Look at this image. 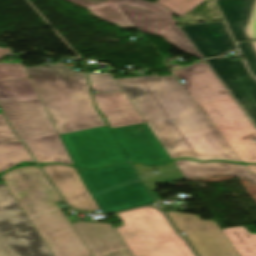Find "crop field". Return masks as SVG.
<instances>
[{
  "label": "crop field",
  "instance_id": "7",
  "mask_svg": "<svg viewBox=\"0 0 256 256\" xmlns=\"http://www.w3.org/2000/svg\"><path fill=\"white\" fill-rule=\"evenodd\" d=\"M117 215L123 226L114 229L132 256H195L160 209L144 207Z\"/></svg>",
  "mask_w": 256,
  "mask_h": 256
},
{
  "label": "crop field",
  "instance_id": "9",
  "mask_svg": "<svg viewBox=\"0 0 256 256\" xmlns=\"http://www.w3.org/2000/svg\"><path fill=\"white\" fill-rule=\"evenodd\" d=\"M0 235L15 256H53L4 183L0 184Z\"/></svg>",
  "mask_w": 256,
  "mask_h": 256
},
{
  "label": "crop field",
  "instance_id": "27",
  "mask_svg": "<svg viewBox=\"0 0 256 256\" xmlns=\"http://www.w3.org/2000/svg\"><path fill=\"white\" fill-rule=\"evenodd\" d=\"M253 74L256 76V50L252 42L238 43Z\"/></svg>",
  "mask_w": 256,
  "mask_h": 256
},
{
  "label": "crop field",
  "instance_id": "29",
  "mask_svg": "<svg viewBox=\"0 0 256 256\" xmlns=\"http://www.w3.org/2000/svg\"><path fill=\"white\" fill-rule=\"evenodd\" d=\"M247 33L250 37L251 40H255L256 39V4L253 10V14L249 23V27L247 30ZM255 48H256V42H253Z\"/></svg>",
  "mask_w": 256,
  "mask_h": 256
},
{
  "label": "crop field",
  "instance_id": "23",
  "mask_svg": "<svg viewBox=\"0 0 256 256\" xmlns=\"http://www.w3.org/2000/svg\"><path fill=\"white\" fill-rule=\"evenodd\" d=\"M93 90L97 93L121 91L111 73H88Z\"/></svg>",
  "mask_w": 256,
  "mask_h": 256
},
{
  "label": "crop field",
  "instance_id": "4",
  "mask_svg": "<svg viewBox=\"0 0 256 256\" xmlns=\"http://www.w3.org/2000/svg\"><path fill=\"white\" fill-rule=\"evenodd\" d=\"M243 163H256V128L207 65L174 72Z\"/></svg>",
  "mask_w": 256,
  "mask_h": 256
},
{
  "label": "crop field",
  "instance_id": "10",
  "mask_svg": "<svg viewBox=\"0 0 256 256\" xmlns=\"http://www.w3.org/2000/svg\"><path fill=\"white\" fill-rule=\"evenodd\" d=\"M167 214L180 232H186L185 237L200 256H239L215 221L178 212Z\"/></svg>",
  "mask_w": 256,
  "mask_h": 256
},
{
  "label": "crop field",
  "instance_id": "8",
  "mask_svg": "<svg viewBox=\"0 0 256 256\" xmlns=\"http://www.w3.org/2000/svg\"><path fill=\"white\" fill-rule=\"evenodd\" d=\"M79 173L104 213L154 203L130 163Z\"/></svg>",
  "mask_w": 256,
  "mask_h": 256
},
{
  "label": "crop field",
  "instance_id": "21",
  "mask_svg": "<svg viewBox=\"0 0 256 256\" xmlns=\"http://www.w3.org/2000/svg\"><path fill=\"white\" fill-rule=\"evenodd\" d=\"M222 232L240 256H256V234H252L243 226L223 229Z\"/></svg>",
  "mask_w": 256,
  "mask_h": 256
},
{
  "label": "crop field",
  "instance_id": "18",
  "mask_svg": "<svg viewBox=\"0 0 256 256\" xmlns=\"http://www.w3.org/2000/svg\"><path fill=\"white\" fill-rule=\"evenodd\" d=\"M236 42L250 40L246 30L255 0H216Z\"/></svg>",
  "mask_w": 256,
  "mask_h": 256
},
{
  "label": "crop field",
  "instance_id": "12",
  "mask_svg": "<svg viewBox=\"0 0 256 256\" xmlns=\"http://www.w3.org/2000/svg\"><path fill=\"white\" fill-rule=\"evenodd\" d=\"M41 167L70 206L88 211L100 209L76 168L65 165Z\"/></svg>",
  "mask_w": 256,
  "mask_h": 256
},
{
  "label": "crop field",
  "instance_id": "32",
  "mask_svg": "<svg viewBox=\"0 0 256 256\" xmlns=\"http://www.w3.org/2000/svg\"><path fill=\"white\" fill-rule=\"evenodd\" d=\"M6 53H11L10 49L7 48V49H1L0 48V58L5 55Z\"/></svg>",
  "mask_w": 256,
  "mask_h": 256
},
{
  "label": "crop field",
  "instance_id": "30",
  "mask_svg": "<svg viewBox=\"0 0 256 256\" xmlns=\"http://www.w3.org/2000/svg\"><path fill=\"white\" fill-rule=\"evenodd\" d=\"M0 256H13L1 238H0Z\"/></svg>",
  "mask_w": 256,
  "mask_h": 256
},
{
  "label": "crop field",
  "instance_id": "16",
  "mask_svg": "<svg viewBox=\"0 0 256 256\" xmlns=\"http://www.w3.org/2000/svg\"><path fill=\"white\" fill-rule=\"evenodd\" d=\"M98 110L112 128L145 123L124 91L93 94Z\"/></svg>",
  "mask_w": 256,
  "mask_h": 256
},
{
  "label": "crop field",
  "instance_id": "28",
  "mask_svg": "<svg viewBox=\"0 0 256 256\" xmlns=\"http://www.w3.org/2000/svg\"><path fill=\"white\" fill-rule=\"evenodd\" d=\"M18 141V139L12 133L10 127L4 120L2 114H0V143Z\"/></svg>",
  "mask_w": 256,
  "mask_h": 256
},
{
  "label": "crop field",
  "instance_id": "19",
  "mask_svg": "<svg viewBox=\"0 0 256 256\" xmlns=\"http://www.w3.org/2000/svg\"><path fill=\"white\" fill-rule=\"evenodd\" d=\"M89 8L90 12L100 18L119 24L124 28L134 27L115 0H69Z\"/></svg>",
  "mask_w": 256,
  "mask_h": 256
},
{
  "label": "crop field",
  "instance_id": "3",
  "mask_svg": "<svg viewBox=\"0 0 256 256\" xmlns=\"http://www.w3.org/2000/svg\"><path fill=\"white\" fill-rule=\"evenodd\" d=\"M60 137L74 165L83 169L127 161L153 165L171 160L146 124L116 129L104 126Z\"/></svg>",
  "mask_w": 256,
  "mask_h": 256
},
{
  "label": "crop field",
  "instance_id": "26",
  "mask_svg": "<svg viewBox=\"0 0 256 256\" xmlns=\"http://www.w3.org/2000/svg\"><path fill=\"white\" fill-rule=\"evenodd\" d=\"M28 77L22 64H0V81Z\"/></svg>",
  "mask_w": 256,
  "mask_h": 256
},
{
  "label": "crop field",
  "instance_id": "25",
  "mask_svg": "<svg viewBox=\"0 0 256 256\" xmlns=\"http://www.w3.org/2000/svg\"><path fill=\"white\" fill-rule=\"evenodd\" d=\"M116 1L119 4H123L129 7H133L136 9H140V10H144V11H148L156 14H161L169 17H172L174 15L162 6L154 5L142 0H116Z\"/></svg>",
  "mask_w": 256,
  "mask_h": 256
},
{
  "label": "crop field",
  "instance_id": "11",
  "mask_svg": "<svg viewBox=\"0 0 256 256\" xmlns=\"http://www.w3.org/2000/svg\"><path fill=\"white\" fill-rule=\"evenodd\" d=\"M206 61L256 125V79L243 60L231 62L222 56Z\"/></svg>",
  "mask_w": 256,
  "mask_h": 256
},
{
  "label": "crop field",
  "instance_id": "20",
  "mask_svg": "<svg viewBox=\"0 0 256 256\" xmlns=\"http://www.w3.org/2000/svg\"><path fill=\"white\" fill-rule=\"evenodd\" d=\"M132 164L137 172L140 174L150 191L155 190V184L165 183V179L182 176L174 162L154 167H147L138 163ZM156 170H158L160 173H152Z\"/></svg>",
  "mask_w": 256,
  "mask_h": 256
},
{
  "label": "crop field",
  "instance_id": "24",
  "mask_svg": "<svg viewBox=\"0 0 256 256\" xmlns=\"http://www.w3.org/2000/svg\"><path fill=\"white\" fill-rule=\"evenodd\" d=\"M203 1L204 0H158L154 4L166 7L181 19Z\"/></svg>",
  "mask_w": 256,
  "mask_h": 256
},
{
  "label": "crop field",
  "instance_id": "1",
  "mask_svg": "<svg viewBox=\"0 0 256 256\" xmlns=\"http://www.w3.org/2000/svg\"><path fill=\"white\" fill-rule=\"evenodd\" d=\"M116 80L170 158L241 162L174 75Z\"/></svg>",
  "mask_w": 256,
  "mask_h": 256
},
{
  "label": "crop field",
  "instance_id": "5",
  "mask_svg": "<svg viewBox=\"0 0 256 256\" xmlns=\"http://www.w3.org/2000/svg\"><path fill=\"white\" fill-rule=\"evenodd\" d=\"M26 68L59 135L104 126L89 94L86 75L70 67Z\"/></svg>",
  "mask_w": 256,
  "mask_h": 256
},
{
  "label": "crop field",
  "instance_id": "13",
  "mask_svg": "<svg viewBox=\"0 0 256 256\" xmlns=\"http://www.w3.org/2000/svg\"><path fill=\"white\" fill-rule=\"evenodd\" d=\"M122 8L140 31L162 36L178 49L202 59L190 40L174 23L176 20L123 6Z\"/></svg>",
  "mask_w": 256,
  "mask_h": 256
},
{
  "label": "crop field",
  "instance_id": "17",
  "mask_svg": "<svg viewBox=\"0 0 256 256\" xmlns=\"http://www.w3.org/2000/svg\"><path fill=\"white\" fill-rule=\"evenodd\" d=\"M185 178H208L214 176L236 175L256 185V175L251 174L244 165L226 162L200 163L193 160L174 161Z\"/></svg>",
  "mask_w": 256,
  "mask_h": 256
},
{
  "label": "crop field",
  "instance_id": "22",
  "mask_svg": "<svg viewBox=\"0 0 256 256\" xmlns=\"http://www.w3.org/2000/svg\"><path fill=\"white\" fill-rule=\"evenodd\" d=\"M23 161L34 162L21 141L0 144V173Z\"/></svg>",
  "mask_w": 256,
  "mask_h": 256
},
{
  "label": "crop field",
  "instance_id": "6",
  "mask_svg": "<svg viewBox=\"0 0 256 256\" xmlns=\"http://www.w3.org/2000/svg\"><path fill=\"white\" fill-rule=\"evenodd\" d=\"M0 105L37 162L73 165L29 78L0 82Z\"/></svg>",
  "mask_w": 256,
  "mask_h": 256
},
{
  "label": "crop field",
  "instance_id": "31",
  "mask_svg": "<svg viewBox=\"0 0 256 256\" xmlns=\"http://www.w3.org/2000/svg\"><path fill=\"white\" fill-rule=\"evenodd\" d=\"M248 170L252 173H255L256 174V165H245Z\"/></svg>",
  "mask_w": 256,
  "mask_h": 256
},
{
  "label": "crop field",
  "instance_id": "14",
  "mask_svg": "<svg viewBox=\"0 0 256 256\" xmlns=\"http://www.w3.org/2000/svg\"><path fill=\"white\" fill-rule=\"evenodd\" d=\"M94 256H131L110 224L72 223Z\"/></svg>",
  "mask_w": 256,
  "mask_h": 256
},
{
  "label": "crop field",
  "instance_id": "15",
  "mask_svg": "<svg viewBox=\"0 0 256 256\" xmlns=\"http://www.w3.org/2000/svg\"><path fill=\"white\" fill-rule=\"evenodd\" d=\"M180 28L203 58L217 56L236 49L223 22Z\"/></svg>",
  "mask_w": 256,
  "mask_h": 256
},
{
  "label": "crop field",
  "instance_id": "2",
  "mask_svg": "<svg viewBox=\"0 0 256 256\" xmlns=\"http://www.w3.org/2000/svg\"><path fill=\"white\" fill-rule=\"evenodd\" d=\"M2 177L54 256H91L54 203L61 198L38 167L10 170Z\"/></svg>",
  "mask_w": 256,
  "mask_h": 256
}]
</instances>
